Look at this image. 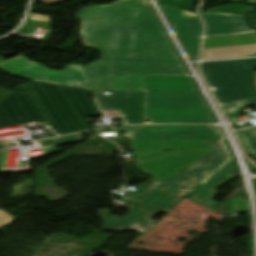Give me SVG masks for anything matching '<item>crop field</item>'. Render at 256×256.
Listing matches in <instances>:
<instances>
[{"instance_id":"obj_13","label":"crop field","mask_w":256,"mask_h":256,"mask_svg":"<svg viewBox=\"0 0 256 256\" xmlns=\"http://www.w3.org/2000/svg\"><path fill=\"white\" fill-rule=\"evenodd\" d=\"M229 166H232L234 170L229 171L227 170ZM237 172L231 159L226 162L221 168H219L213 175H211L206 181L203 182L202 186L198 188L195 192H193L187 198L211 209L215 210L216 207L219 205L212 201L213 198L219 192L215 191L223 184L231 180L235 177L232 175L233 173Z\"/></svg>"},{"instance_id":"obj_31","label":"crop field","mask_w":256,"mask_h":256,"mask_svg":"<svg viewBox=\"0 0 256 256\" xmlns=\"http://www.w3.org/2000/svg\"><path fill=\"white\" fill-rule=\"evenodd\" d=\"M248 3L256 4V0H247Z\"/></svg>"},{"instance_id":"obj_16","label":"crop field","mask_w":256,"mask_h":256,"mask_svg":"<svg viewBox=\"0 0 256 256\" xmlns=\"http://www.w3.org/2000/svg\"><path fill=\"white\" fill-rule=\"evenodd\" d=\"M256 55V44L204 49L203 60H215Z\"/></svg>"},{"instance_id":"obj_26","label":"crop field","mask_w":256,"mask_h":256,"mask_svg":"<svg viewBox=\"0 0 256 256\" xmlns=\"http://www.w3.org/2000/svg\"><path fill=\"white\" fill-rule=\"evenodd\" d=\"M12 144H15L14 140H8V141H1L0 142L1 148L12 145Z\"/></svg>"},{"instance_id":"obj_29","label":"crop field","mask_w":256,"mask_h":256,"mask_svg":"<svg viewBox=\"0 0 256 256\" xmlns=\"http://www.w3.org/2000/svg\"><path fill=\"white\" fill-rule=\"evenodd\" d=\"M248 18L250 23L256 27V14H250Z\"/></svg>"},{"instance_id":"obj_2","label":"crop field","mask_w":256,"mask_h":256,"mask_svg":"<svg viewBox=\"0 0 256 256\" xmlns=\"http://www.w3.org/2000/svg\"><path fill=\"white\" fill-rule=\"evenodd\" d=\"M39 109L58 135L90 128L85 118L99 115L89 90L34 81L26 85Z\"/></svg>"},{"instance_id":"obj_20","label":"crop field","mask_w":256,"mask_h":256,"mask_svg":"<svg viewBox=\"0 0 256 256\" xmlns=\"http://www.w3.org/2000/svg\"><path fill=\"white\" fill-rule=\"evenodd\" d=\"M256 104V98L248 99V100H243L227 105H223L222 108L224 111L229 115V114H237L241 113V107L248 106V105H253Z\"/></svg>"},{"instance_id":"obj_15","label":"crop field","mask_w":256,"mask_h":256,"mask_svg":"<svg viewBox=\"0 0 256 256\" xmlns=\"http://www.w3.org/2000/svg\"><path fill=\"white\" fill-rule=\"evenodd\" d=\"M145 90L197 91L191 77H147Z\"/></svg>"},{"instance_id":"obj_23","label":"crop field","mask_w":256,"mask_h":256,"mask_svg":"<svg viewBox=\"0 0 256 256\" xmlns=\"http://www.w3.org/2000/svg\"><path fill=\"white\" fill-rule=\"evenodd\" d=\"M161 4L188 10L194 1L191 0H159Z\"/></svg>"},{"instance_id":"obj_11","label":"crop field","mask_w":256,"mask_h":256,"mask_svg":"<svg viewBox=\"0 0 256 256\" xmlns=\"http://www.w3.org/2000/svg\"><path fill=\"white\" fill-rule=\"evenodd\" d=\"M143 99L144 91H111V95L107 98L96 100L101 110H117L123 113L127 124H134L142 122Z\"/></svg>"},{"instance_id":"obj_9","label":"crop field","mask_w":256,"mask_h":256,"mask_svg":"<svg viewBox=\"0 0 256 256\" xmlns=\"http://www.w3.org/2000/svg\"><path fill=\"white\" fill-rule=\"evenodd\" d=\"M17 90L0 103V128L45 120L23 85Z\"/></svg>"},{"instance_id":"obj_22","label":"crop field","mask_w":256,"mask_h":256,"mask_svg":"<svg viewBox=\"0 0 256 256\" xmlns=\"http://www.w3.org/2000/svg\"><path fill=\"white\" fill-rule=\"evenodd\" d=\"M228 206L232 215L249 211L247 202L241 198L228 201Z\"/></svg>"},{"instance_id":"obj_21","label":"crop field","mask_w":256,"mask_h":256,"mask_svg":"<svg viewBox=\"0 0 256 256\" xmlns=\"http://www.w3.org/2000/svg\"><path fill=\"white\" fill-rule=\"evenodd\" d=\"M81 140H83V138L80 134H78V135H74V136L46 140V141H42V142H38V143H39L40 148H42V147L63 144V143H69V142H75V141H81Z\"/></svg>"},{"instance_id":"obj_10","label":"crop field","mask_w":256,"mask_h":256,"mask_svg":"<svg viewBox=\"0 0 256 256\" xmlns=\"http://www.w3.org/2000/svg\"><path fill=\"white\" fill-rule=\"evenodd\" d=\"M167 18L171 19V24L187 47L193 60L198 58L200 48V38L202 32V24L200 23L197 14L163 6L161 5Z\"/></svg>"},{"instance_id":"obj_1","label":"crop field","mask_w":256,"mask_h":256,"mask_svg":"<svg viewBox=\"0 0 256 256\" xmlns=\"http://www.w3.org/2000/svg\"><path fill=\"white\" fill-rule=\"evenodd\" d=\"M77 18L83 45L101 53L83 67L91 88L144 90L146 76H189L148 2L115 3Z\"/></svg>"},{"instance_id":"obj_30","label":"crop field","mask_w":256,"mask_h":256,"mask_svg":"<svg viewBox=\"0 0 256 256\" xmlns=\"http://www.w3.org/2000/svg\"><path fill=\"white\" fill-rule=\"evenodd\" d=\"M133 1H147V0H121L116 2H133Z\"/></svg>"},{"instance_id":"obj_17","label":"crop field","mask_w":256,"mask_h":256,"mask_svg":"<svg viewBox=\"0 0 256 256\" xmlns=\"http://www.w3.org/2000/svg\"><path fill=\"white\" fill-rule=\"evenodd\" d=\"M256 33L205 38L204 48L254 44Z\"/></svg>"},{"instance_id":"obj_24","label":"crop field","mask_w":256,"mask_h":256,"mask_svg":"<svg viewBox=\"0 0 256 256\" xmlns=\"http://www.w3.org/2000/svg\"><path fill=\"white\" fill-rule=\"evenodd\" d=\"M8 151H0V171L4 172H18L17 170L5 169Z\"/></svg>"},{"instance_id":"obj_18","label":"crop field","mask_w":256,"mask_h":256,"mask_svg":"<svg viewBox=\"0 0 256 256\" xmlns=\"http://www.w3.org/2000/svg\"><path fill=\"white\" fill-rule=\"evenodd\" d=\"M243 146L256 159V127L237 132Z\"/></svg>"},{"instance_id":"obj_14","label":"crop field","mask_w":256,"mask_h":256,"mask_svg":"<svg viewBox=\"0 0 256 256\" xmlns=\"http://www.w3.org/2000/svg\"><path fill=\"white\" fill-rule=\"evenodd\" d=\"M207 24L206 37L256 32L244 22L242 14L203 13Z\"/></svg>"},{"instance_id":"obj_5","label":"crop field","mask_w":256,"mask_h":256,"mask_svg":"<svg viewBox=\"0 0 256 256\" xmlns=\"http://www.w3.org/2000/svg\"><path fill=\"white\" fill-rule=\"evenodd\" d=\"M256 59L202 63L201 69L219 104L256 96Z\"/></svg>"},{"instance_id":"obj_25","label":"crop field","mask_w":256,"mask_h":256,"mask_svg":"<svg viewBox=\"0 0 256 256\" xmlns=\"http://www.w3.org/2000/svg\"><path fill=\"white\" fill-rule=\"evenodd\" d=\"M14 219L15 218L0 210V227L11 224Z\"/></svg>"},{"instance_id":"obj_28","label":"crop field","mask_w":256,"mask_h":256,"mask_svg":"<svg viewBox=\"0 0 256 256\" xmlns=\"http://www.w3.org/2000/svg\"><path fill=\"white\" fill-rule=\"evenodd\" d=\"M38 1H42L45 4H48V5H53V4L59 3V2L64 1V0H38Z\"/></svg>"},{"instance_id":"obj_27","label":"crop field","mask_w":256,"mask_h":256,"mask_svg":"<svg viewBox=\"0 0 256 256\" xmlns=\"http://www.w3.org/2000/svg\"><path fill=\"white\" fill-rule=\"evenodd\" d=\"M98 8H101V7H90V8H88V9H85V10H83V11L78 12V13L76 14V16L82 15V14H84V13L93 11V10L98 9Z\"/></svg>"},{"instance_id":"obj_3","label":"crop field","mask_w":256,"mask_h":256,"mask_svg":"<svg viewBox=\"0 0 256 256\" xmlns=\"http://www.w3.org/2000/svg\"><path fill=\"white\" fill-rule=\"evenodd\" d=\"M210 143L215 150L214 152L176 174L164 183L147 181L139 186L137 185V188L143 191L123 199L156 208L164 212L175 207L188 194L197 188L200 182L207 179L230 159L223 142L211 141ZM216 156L218 157L205 164L203 178L200 180L204 163Z\"/></svg>"},{"instance_id":"obj_12","label":"crop field","mask_w":256,"mask_h":256,"mask_svg":"<svg viewBox=\"0 0 256 256\" xmlns=\"http://www.w3.org/2000/svg\"><path fill=\"white\" fill-rule=\"evenodd\" d=\"M160 212L153 211L147 208H139L131 213H128L122 217L111 215L109 210L98 211L100 218L104 221V224L100 231H123L131 230L136 232L145 233L149 230L157 221L152 220L150 216ZM132 223L140 226L139 229L130 228Z\"/></svg>"},{"instance_id":"obj_19","label":"crop field","mask_w":256,"mask_h":256,"mask_svg":"<svg viewBox=\"0 0 256 256\" xmlns=\"http://www.w3.org/2000/svg\"><path fill=\"white\" fill-rule=\"evenodd\" d=\"M256 10V7L245 6L242 4H233L227 6H221L217 8L210 9L206 12L214 13H248L249 11Z\"/></svg>"},{"instance_id":"obj_6","label":"crop field","mask_w":256,"mask_h":256,"mask_svg":"<svg viewBox=\"0 0 256 256\" xmlns=\"http://www.w3.org/2000/svg\"><path fill=\"white\" fill-rule=\"evenodd\" d=\"M133 153L154 149H185L186 152L145 162L139 170L164 182L214 151L207 140H129Z\"/></svg>"},{"instance_id":"obj_4","label":"crop field","mask_w":256,"mask_h":256,"mask_svg":"<svg viewBox=\"0 0 256 256\" xmlns=\"http://www.w3.org/2000/svg\"><path fill=\"white\" fill-rule=\"evenodd\" d=\"M145 119L151 123L214 122L197 92L145 91Z\"/></svg>"},{"instance_id":"obj_7","label":"crop field","mask_w":256,"mask_h":256,"mask_svg":"<svg viewBox=\"0 0 256 256\" xmlns=\"http://www.w3.org/2000/svg\"><path fill=\"white\" fill-rule=\"evenodd\" d=\"M0 68L14 75L25 71L26 73L20 74L19 76L26 78L90 88L81 67L75 64H72L62 72H54L21 56L15 60L0 65Z\"/></svg>"},{"instance_id":"obj_8","label":"crop field","mask_w":256,"mask_h":256,"mask_svg":"<svg viewBox=\"0 0 256 256\" xmlns=\"http://www.w3.org/2000/svg\"><path fill=\"white\" fill-rule=\"evenodd\" d=\"M130 139H221L214 126H122Z\"/></svg>"}]
</instances>
